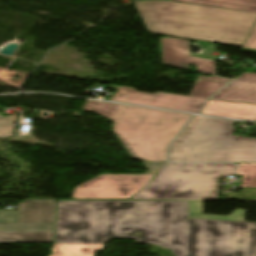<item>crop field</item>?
<instances>
[{
	"label": "crop field",
	"mask_w": 256,
	"mask_h": 256,
	"mask_svg": "<svg viewBox=\"0 0 256 256\" xmlns=\"http://www.w3.org/2000/svg\"><path fill=\"white\" fill-rule=\"evenodd\" d=\"M246 213L247 211L237 209L229 216L203 215L202 201H189V218L244 221L243 217Z\"/></svg>",
	"instance_id": "obj_15"
},
{
	"label": "crop field",
	"mask_w": 256,
	"mask_h": 256,
	"mask_svg": "<svg viewBox=\"0 0 256 256\" xmlns=\"http://www.w3.org/2000/svg\"><path fill=\"white\" fill-rule=\"evenodd\" d=\"M236 175H243L240 187L256 188V164H239Z\"/></svg>",
	"instance_id": "obj_17"
},
{
	"label": "crop field",
	"mask_w": 256,
	"mask_h": 256,
	"mask_svg": "<svg viewBox=\"0 0 256 256\" xmlns=\"http://www.w3.org/2000/svg\"><path fill=\"white\" fill-rule=\"evenodd\" d=\"M224 85L225 83L197 79L189 96L208 99L214 92Z\"/></svg>",
	"instance_id": "obj_16"
},
{
	"label": "crop field",
	"mask_w": 256,
	"mask_h": 256,
	"mask_svg": "<svg viewBox=\"0 0 256 256\" xmlns=\"http://www.w3.org/2000/svg\"><path fill=\"white\" fill-rule=\"evenodd\" d=\"M15 120H17L15 115L0 118V139L13 136L14 126H12V123Z\"/></svg>",
	"instance_id": "obj_18"
},
{
	"label": "crop field",
	"mask_w": 256,
	"mask_h": 256,
	"mask_svg": "<svg viewBox=\"0 0 256 256\" xmlns=\"http://www.w3.org/2000/svg\"><path fill=\"white\" fill-rule=\"evenodd\" d=\"M201 113L240 119H256V105L209 100Z\"/></svg>",
	"instance_id": "obj_12"
},
{
	"label": "crop field",
	"mask_w": 256,
	"mask_h": 256,
	"mask_svg": "<svg viewBox=\"0 0 256 256\" xmlns=\"http://www.w3.org/2000/svg\"><path fill=\"white\" fill-rule=\"evenodd\" d=\"M54 211L55 200H27L18 211L0 210V222H53Z\"/></svg>",
	"instance_id": "obj_10"
},
{
	"label": "crop field",
	"mask_w": 256,
	"mask_h": 256,
	"mask_svg": "<svg viewBox=\"0 0 256 256\" xmlns=\"http://www.w3.org/2000/svg\"><path fill=\"white\" fill-rule=\"evenodd\" d=\"M153 33L241 47L256 14L166 0L134 3Z\"/></svg>",
	"instance_id": "obj_2"
},
{
	"label": "crop field",
	"mask_w": 256,
	"mask_h": 256,
	"mask_svg": "<svg viewBox=\"0 0 256 256\" xmlns=\"http://www.w3.org/2000/svg\"><path fill=\"white\" fill-rule=\"evenodd\" d=\"M242 51H244V52H250V53H256V51H254V50H246V49H242Z\"/></svg>",
	"instance_id": "obj_20"
},
{
	"label": "crop field",
	"mask_w": 256,
	"mask_h": 256,
	"mask_svg": "<svg viewBox=\"0 0 256 256\" xmlns=\"http://www.w3.org/2000/svg\"><path fill=\"white\" fill-rule=\"evenodd\" d=\"M211 99L256 104V74H242Z\"/></svg>",
	"instance_id": "obj_11"
},
{
	"label": "crop field",
	"mask_w": 256,
	"mask_h": 256,
	"mask_svg": "<svg viewBox=\"0 0 256 256\" xmlns=\"http://www.w3.org/2000/svg\"><path fill=\"white\" fill-rule=\"evenodd\" d=\"M256 13V0H174Z\"/></svg>",
	"instance_id": "obj_14"
},
{
	"label": "crop field",
	"mask_w": 256,
	"mask_h": 256,
	"mask_svg": "<svg viewBox=\"0 0 256 256\" xmlns=\"http://www.w3.org/2000/svg\"><path fill=\"white\" fill-rule=\"evenodd\" d=\"M53 223H0V243H51Z\"/></svg>",
	"instance_id": "obj_9"
},
{
	"label": "crop field",
	"mask_w": 256,
	"mask_h": 256,
	"mask_svg": "<svg viewBox=\"0 0 256 256\" xmlns=\"http://www.w3.org/2000/svg\"><path fill=\"white\" fill-rule=\"evenodd\" d=\"M104 244H54L52 256H93L94 251H101Z\"/></svg>",
	"instance_id": "obj_13"
},
{
	"label": "crop field",
	"mask_w": 256,
	"mask_h": 256,
	"mask_svg": "<svg viewBox=\"0 0 256 256\" xmlns=\"http://www.w3.org/2000/svg\"><path fill=\"white\" fill-rule=\"evenodd\" d=\"M113 238L175 256H256V223L188 219V201H58L54 243Z\"/></svg>",
	"instance_id": "obj_1"
},
{
	"label": "crop field",
	"mask_w": 256,
	"mask_h": 256,
	"mask_svg": "<svg viewBox=\"0 0 256 256\" xmlns=\"http://www.w3.org/2000/svg\"><path fill=\"white\" fill-rule=\"evenodd\" d=\"M83 110L113 120V131L130 155L155 162H166L169 143L192 116L96 101H88Z\"/></svg>",
	"instance_id": "obj_3"
},
{
	"label": "crop field",
	"mask_w": 256,
	"mask_h": 256,
	"mask_svg": "<svg viewBox=\"0 0 256 256\" xmlns=\"http://www.w3.org/2000/svg\"><path fill=\"white\" fill-rule=\"evenodd\" d=\"M242 47L256 49V24Z\"/></svg>",
	"instance_id": "obj_19"
},
{
	"label": "crop field",
	"mask_w": 256,
	"mask_h": 256,
	"mask_svg": "<svg viewBox=\"0 0 256 256\" xmlns=\"http://www.w3.org/2000/svg\"><path fill=\"white\" fill-rule=\"evenodd\" d=\"M151 175H100L75 188L72 198H127L149 182Z\"/></svg>",
	"instance_id": "obj_6"
},
{
	"label": "crop field",
	"mask_w": 256,
	"mask_h": 256,
	"mask_svg": "<svg viewBox=\"0 0 256 256\" xmlns=\"http://www.w3.org/2000/svg\"><path fill=\"white\" fill-rule=\"evenodd\" d=\"M229 121L196 116L172 143L170 162H256V139L231 135Z\"/></svg>",
	"instance_id": "obj_4"
},
{
	"label": "crop field",
	"mask_w": 256,
	"mask_h": 256,
	"mask_svg": "<svg viewBox=\"0 0 256 256\" xmlns=\"http://www.w3.org/2000/svg\"><path fill=\"white\" fill-rule=\"evenodd\" d=\"M115 102L156 106L180 111L196 113L206 100L168 93L154 94L136 92L132 88L121 87L110 99Z\"/></svg>",
	"instance_id": "obj_8"
},
{
	"label": "crop field",
	"mask_w": 256,
	"mask_h": 256,
	"mask_svg": "<svg viewBox=\"0 0 256 256\" xmlns=\"http://www.w3.org/2000/svg\"><path fill=\"white\" fill-rule=\"evenodd\" d=\"M162 64L191 71V64L196 65V72L212 74L211 77L198 78L228 83L230 78L216 76L215 64L212 60L190 57L189 42L184 39L159 38Z\"/></svg>",
	"instance_id": "obj_7"
},
{
	"label": "crop field",
	"mask_w": 256,
	"mask_h": 256,
	"mask_svg": "<svg viewBox=\"0 0 256 256\" xmlns=\"http://www.w3.org/2000/svg\"><path fill=\"white\" fill-rule=\"evenodd\" d=\"M233 164L167 163L132 199H217V177L233 175Z\"/></svg>",
	"instance_id": "obj_5"
}]
</instances>
